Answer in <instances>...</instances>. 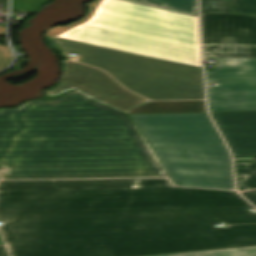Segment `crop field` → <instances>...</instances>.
<instances>
[{"label":"crop field","mask_w":256,"mask_h":256,"mask_svg":"<svg viewBox=\"0 0 256 256\" xmlns=\"http://www.w3.org/2000/svg\"><path fill=\"white\" fill-rule=\"evenodd\" d=\"M121 190L0 191L11 256H147L256 245L236 192L171 184Z\"/></svg>","instance_id":"8a807250"},{"label":"crop field","mask_w":256,"mask_h":256,"mask_svg":"<svg viewBox=\"0 0 256 256\" xmlns=\"http://www.w3.org/2000/svg\"><path fill=\"white\" fill-rule=\"evenodd\" d=\"M52 39L70 60L151 100L204 99L197 0H103L89 21Z\"/></svg>","instance_id":"ac0d7876"},{"label":"crop field","mask_w":256,"mask_h":256,"mask_svg":"<svg viewBox=\"0 0 256 256\" xmlns=\"http://www.w3.org/2000/svg\"><path fill=\"white\" fill-rule=\"evenodd\" d=\"M2 179L167 177L127 116L78 92L9 110Z\"/></svg>","instance_id":"34b2d1b8"},{"label":"crop field","mask_w":256,"mask_h":256,"mask_svg":"<svg viewBox=\"0 0 256 256\" xmlns=\"http://www.w3.org/2000/svg\"><path fill=\"white\" fill-rule=\"evenodd\" d=\"M129 117L175 185L233 189L228 152L206 114Z\"/></svg>","instance_id":"412701ff"},{"label":"crop field","mask_w":256,"mask_h":256,"mask_svg":"<svg viewBox=\"0 0 256 256\" xmlns=\"http://www.w3.org/2000/svg\"><path fill=\"white\" fill-rule=\"evenodd\" d=\"M218 62L216 71H207L210 112L256 111V59L205 58Z\"/></svg>","instance_id":"f4fd0767"},{"label":"crop field","mask_w":256,"mask_h":256,"mask_svg":"<svg viewBox=\"0 0 256 256\" xmlns=\"http://www.w3.org/2000/svg\"><path fill=\"white\" fill-rule=\"evenodd\" d=\"M205 57L256 58V18L201 14Z\"/></svg>","instance_id":"dd49c442"},{"label":"crop field","mask_w":256,"mask_h":256,"mask_svg":"<svg viewBox=\"0 0 256 256\" xmlns=\"http://www.w3.org/2000/svg\"><path fill=\"white\" fill-rule=\"evenodd\" d=\"M65 76L57 88L48 91L58 93L67 88L93 96L121 111L147 102V100L127 91L103 71L77 63L65 62Z\"/></svg>","instance_id":"e52e79f7"},{"label":"crop field","mask_w":256,"mask_h":256,"mask_svg":"<svg viewBox=\"0 0 256 256\" xmlns=\"http://www.w3.org/2000/svg\"><path fill=\"white\" fill-rule=\"evenodd\" d=\"M234 155L256 154V112L210 113Z\"/></svg>","instance_id":"d8731c3e"},{"label":"crop field","mask_w":256,"mask_h":256,"mask_svg":"<svg viewBox=\"0 0 256 256\" xmlns=\"http://www.w3.org/2000/svg\"><path fill=\"white\" fill-rule=\"evenodd\" d=\"M169 183L166 179L133 180H78V181H5L0 190H49V189H120L142 188Z\"/></svg>","instance_id":"5a996713"},{"label":"crop field","mask_w":256,"mask_h":256,"mask_svg":"<svg viewBox=\"0 0 256 256\" xmlns=\"http://www.w3.org/2000/svg\"><path fill=\"white\" fill-rule=\"evenodd\" d=\"M124 113H205V107L204 101L148 102Z\"/></svg>","instance_id":"3316defc"},{"label":"crop field","mask_w":256,"mask_h":256,"mask_svg":"<svg viewBox=\"0 0 256 256\" xmlns=\"http://www.w3.org/2000/svg\"><path fill=\"white\" fill-rule=\"evenodd\" d=\"M239 191L256 188V163H235Z\"/></svg>","instance_id":"28ad6ade"},{"label":"crop field","mask_w":256,"mask_h":256,"mask_svg":"<svg viewBox=\"0 0 256 256\" xmlns=\"http://www.w3.org/2000/svg\"><path fill=\"white\" fill-rule=\"evenodd\" d=\"M157 256H256V246L198 251Z\"/></svg>","instance_id":"d1516ede"},{"label":"crop field","mask_w":256,"mask_h":256,"mask_svg":"<svg viewBox=\"0 0 256 256\" xmlns=\"http://www.w3.org/2000/svg\"><path fill=\"white\" fill-rule=\"evenodd\" d=\"M201 13L233 14L227 0H200Z\"/></svg>","instance_id":"22f410ed"},{"label":"crop field","mask_w":256,"mask_h":256,"mask_svg":"<svg viewBox=\"0 0 256 256\" xmlns=\"http://www.w3.org/2000/svg\"><path fill=\"white\" fill-rule=\"evenodd\" d=\"M100 2H101V0H95L93 3L89 4L90 12H89V14H88L86 17H84L82 20L77 21V22L72 23V24H69V25H67V26H56V27H54V28H52V29L46 31V33H45L44 35L53 37V36H56V35H58V34L64 32V31H66V30H68V29H70V28L76 26V25H79V24H82V23L86 22V21L89 20V19L91 18V16L94 14V12H95V10H96V8L98 7V5H99Z\"/></svg>","instance_id":"cbeb9de0"},{"label":"crop field","mask_w":256,"mask_h":256,"mask_svg":"<svg viewBox=\"0 0 256 256\" xmlns=\"http://www.w3.org/2000/svg\"><path fill=\"white\" fill-rule=\"evenodd\" d=\"M236 13L256 14V0H229Z\"/></svg>","instance_id":"5142ce71"},{"label":"crop field","mask_w":256,"mask_h":256,"mask_svg":"<svg viewBox=\"0 0 256 256\" xmlns=\"http://www.w3.org/2000/svg\"><path fill=\"white\" fill-rule=\"evenodd\" d=\"M48 0H13L12 9L34 11Z\"/></svg>","instance_id":"d9b57169"},{"label":"crop field","mask_w":256,"mask_h":256,"mask_svg":"<svg viewBox=\"0 0 256 256\" xmlns=\"http://www.w3.org/2000/svg\"><path fill=\"white\" fill-rule=\"evenodd\" d=\"M12 54L8 47L0 45V70L11 64Z\"/></svg>","instance_id":"733c2abd"},{"label":"crop field","mask_w":256,"mask_h":256,"mask_svg":"<svg viewBox=\"0 0 256 256\" xmlns=\"http://www.w3.org/2000/svg\"><path fill=\"white\" fill-rule=\"evenodd\" d=\"M245 198H247L253 205L256 206V191L243 192L241 193Z\"/></svg>","instance_id":"4a817a6b"},{"label":"crop field","mask_w":256,"mask_h":256,"mask_svg":"<svg viewBox=\"0 0 256 256\" xmlns=\"http://www.w3.org/2000/svg\"><path fill=\"white\" fill-rule=\"evenodd\" d=\"M8 110H0V124L4 119L5 115L7 114Z\"/></svg>","instance_id":"bc2a9ffb"},{"label":"crop field","mask_w":256,"mask_h":256,"mask_svg":"<svg viewBox=\"0 0 256 256\" xmlns=\"http://www.w3.org/2000/svg\"><path fill=\"white\" fill-rule=\"evenodd\" d=\"M0 256H7L3 247H0Z\"/></svg>","instance_id":"214f88e0"},{"label":"crop field","mask_w":256,"mask_h":256,"mask_svg":"<svg viewBox=\"0 0 256 256\" xmlns=\"http://www.w3.org/2000/svg\"><path fill=\"white\" fill-rule=\"evenodd\" d=\"M0 35H5V27L0 26Z\"/></svg>","instance_id":"92a150f3"},{"label":"crop field","mask_w":256,"mask_h":256,"mask_svg":"<svg viewBox=\"0 0 256 256\" xmlns=\"http://www.w3.org/2000/svg\"><path fill=\"white\" fill-rule=\"evenodd\" d=\"M6 2L7 0H0V3H2V8H6Z\"/></svg>","instance_id":"dafd665d"},{"label":"crop field","mask_w":256,"mask_h":256,"mask_svg":"<svg viewBox=\"0 0 256 256\" xmlns=\"http://www.w3.org/2000/svg\"><path fill=\"white\" fill-rule=\"evenodd\" d=\"M0 245H3L1 239H0Z\"/></svg>","instance_id":"00972430"},{"label":"crop field","mask_w":256,"mask_h":256,"mask_svg":"<svg viewBox=\"0 0 256 256\" xmlns=\"http://www.w3.org/2000/svg\"><path fill=\"white\" fill-rule=\"evenodd\" d=\"M132 195H133V194H132ZM131 198H132V196H131ZM131 198H130V200H131ZM130 200H129V201H130Z\"/></svg>","instance_id":"a9b5d70f"},{"label":"crop field","mask_w":256,"mask_h":256,"mask_svg":"<svg viewBox=\"0 0 256 256\" xmlns=\"http://www.w3.org/2000/svg\"><path fill=\"white\" fill-rule=\"evenodd\" d=\"M252 16H256V15H252Z\"/></svg>","instance_id":"4177f3b9"}]
</instances>
